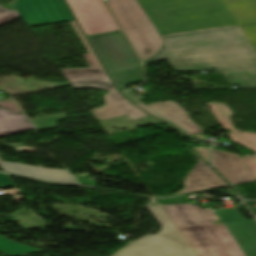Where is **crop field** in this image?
<instances>
[{
  "label": "crop field",
  "mask_w": 256,
  "mask_h": 256,
  "mask_svg": "<svg viewBox=\"0 0 256 256\" xmlns=\"http://www.w3.org/2000/svg\"><path fill=\"white\" fill-rule=\"evenodd\" d=\"M138 107L142 108L143 110L147 111L148 113L160 118V119H163L162 117L158 116L157 114H155L154 112L150 111L149 109H147L146 107L142 106V105H139ZM165 120V119H163ZM166 121V120H165ZM168 122V121H167Z\"/></svg>",
  "instance_id": "00972430"
},
{
  "label": "crop field",
  "mask_w": 256,
  "mask_h": 256,
  "mask_svg": "<svg viewBox=\"0 0 256 256\" xmlns=\"http://www.w3.org/2000/svg\"><path fill=\"white\" fill-rule=\"evenodd\" d=\"M198 256H256V223L235 207L162 206ZM232 212V213H230ZM221 220V224L213 221Z\"/></svg>",
  "instance_id": "ac0d7876"
},
{
  "label": "crop field",
  "mask_w": 256,
  "mask_h": 256,
  "mask_svg": "<svg viewBox=\"0 0 256 256\" xmlns=\"http://www.w3.org/2000/svg\"><path fill=\"white\" fill-rule=\"evenodd\" d=\"M15 8L28 27L74 20L63 0H16Z\"/></svg>",
  "instance_id": "3316defc"
},
{
  "label": "crop field",
  "mask_w": 256,
  "mask_h": 256,
  "mask_svg": "<svg viewBox=\"0 0 256 256\" xmlns=\"http://www.w3.org/2000/svg\"><path fill=\"white\" fill-rule=\"evenodd\" d=\"M71 24L89 53L84 55V57L91 68L60 69V71L74 89H99L109 92L103 97L106 100L105 106L100 109L92 110L91 112L93 114H95L102 121L122 115H127L130 120L147 116L159 123L177 130L181 137H185L183 132L178 130L176 127L148 115L123 97L116 90L111 79L109 78L81 29L77 25L76 21L71 22Z\"/></svg>",
  "instance_id": "412701ff"
},
{
  "label": "crop field",
  "mask_w": 256,
  "mask_h": 256,
  "mask_svg": "<svg viewBox=\"0 0 256 256\" xmlns=\"http://www.w3.org/2000/svg\"><path fill=\"white\" fill-rule=\"evenodd\" d=\"M106 3L142 62L161 51L164 40L138 0H106Z\"/></svg>",
  "instance_id": "f4fd0767"
},
{
  "label": "crop field",
  "mask_w": 256,
  "mask_h": 256,
  "mask_svg": "<svg viewBox=\"0 0 256 256\" xmlns=\"http://www.w3.org/2000/svg\"><path fill=\"white\" fill-rule=\"evenodd\" d=\"M191 152L198 162L187 175L184 187L173 195L228 186L193 150Z\"/></svg>",
  "instance_id": "d1516ede"
},
{
  "label": "crop field",
  "mask_w": 256,
  "mask_h": 256,
  "mask_svg": "<svg viewBox=\"0 0 256 256\" xmlns=\"http://www.w3.org/2000/svg\"><path fill=\"white\" fill-rule=\"evenodd\" d=\"M161 34L237 25L221 0H139Z\"/></svg>",
  "instance_id": "34b2d1b8"
},
{
  "label": "crop field",
  "mask_w": 256,
  "mask_h": 256,
  "mask_svg": "<svg viewBox=\"0 0 256 256\" xmlns=\"http://www.w3.org/2000/svg\"><path fill=\"white\" fill-rule=\"evenodd\" d=\"M0 252L6 253L11 256H23L42 251L0 237Z\"/></svg>",
  "instance_id": "d9b57169"
},
{
  "label": "crop field",
  "mask_w": 256,
  "mask_h": 256,
  "mask_svg": "<svg viewBox=\"0 0 256 256\" xmlns=\"http://www.w3.org/2000/svg\"><path fill=\"white\" fill-rule=\"evenodd\" d=\"M238 25L256 22V0H222Z\"/></svg>",
  "instance_id": "cbeb9de0"
},
{
  "label": "crop field",
  "mask_w": 256,
  "mask_h": 256,
  "mask_svg": "<svg viewBox=\"0 0 256 256\" xmlns=\"http://www.w3.org/2000/svg\"><path fill=\"white\" fill-rule=\"evenodd\" d=\"M74 176L79 181L80 184L96 186L95 182L88 179L90 176L88 173L76 174Z\"/></svg>",
  "instance_id": "bc2a9ffb"
},
{
  "label": "crop field",
  "mask_w": 256,
  "mask_h": 256,
  "mask_svg": "<svg viewBox=\"0 0 256 256\" xmlns=\"http://www.w3.org/2000/svg\"><path fill=\"white\" fill-rule=\"evenodd\" d=\"M17 17H19V14L16 10L10 11L0 7V24ZM32 129H34V127L24 114L0 108V137ZM0 164L7 172L39 180L47 182L76 183L67 170L27 166L20 163L3 162L1 159Z\"/></svg>",
  "instance_id": "e52e79f7"
},
{
  "label": "crop field",
  "mask_w": 256,
  "mask_h": 256,
  "mask_svg": "<svg viewBox=\"0 0 256 256\" xmlns=\"http://www.w3.org/2000/svg\"><path fill=\"white\" fill-rule=\"evenodd\" d=\"M67 118L65 114H57V115H51V116H45L37 119H31L35 126L38 128V130L42 129H48V128H55L56 123L60 119Z\"/></svg>",
  "instance_id": "733c2abd"
},
{
  "label": "crop field",
  "mask_w": 256,
  "mask_h": 256,
  "mask_svg": "<svg viewBox=\"0 0 256 256\" xmlns=\"http://www.w3.org/2000/svg\"><path fill=\"white\" fill-rule=\"evenodd\" d=\"M149 210L162 226L157 235H147L114 256H196L159 206Z\"/></svg>",
  "instance_id": "d8731c3e"
},
{
  "label": "crop field",
  "mask_w": 256,
  "mask_h": 256,
  "mask_svg": "<svg viewBox=\"0 0 256 256\" xmlns=\"http://www.w3.org/2000/svg\"><path fill=\"white\" fill-rule=\"evenodd\" d=\"M179 202H189V200L185 196L161 200L162 204Z\"/></svg>",
  "instance_id": "92a150f3"
},
{
  "label": "crop field",
  "mask_w": 256,
  "mask_h": 256,
  "mask_svg": "<svg viewBox=\"0 0 256 256\" xmlns=\"http://www.w3.org/2000/svg\"><path fill=\"white\" fill-rule=\"evenodd\" d=\"M86 36L118 30L102 0H65ZM76 20V21H77Z\"/></svg>",
  "instance_id": "5a996713"
},
{
  "label": "crop field",
  "mask_w": 256,
  "mask_h": 256,
  "mask_svg": "<svg viewBox=\"0 0 256 256\" xmlns=\"http://www.w3.org/2000/svg\"><path fill=\"white\" fill-rule=\"evenodd\" d=\"M151 63L167 59L175 71L224 72L231 85L256 88V54L239 26L164 36Z\"/></svg>",
  "instance_id": "8a807250"
},
{
  "label": "crop field",
  "mask_w": 256,
  "mask_h": 256,
  "mask_svg": "<svg viewBox=\"0 0 256 256\" xmlns=\"http://www.w3.org/2000/svg\"><path fill=\"white\" fill-rule=\"evenodd\" d=\"M200 156L209 164V157H210V149L203 148V147H193Z\"/></svg>",
  "instance_id": "214f88e0"
},
{
  "label": "crop field",
  "mask_w": 256,
  "mask_h": 256,
  "mask_svg": "<svg viewBox=\"0 0 256 256\" xmlns=\"http://www.w3.org/2000/svg\"><path fill=\"white\" fill-rule=\"evenodd\" d=\"M182 118H184L187 122H189L192 126H194L196 129L189 131V135L192 134H198V133H202V130L196 125L194 124L188 117L187 113H185L184 115L181 116Z\"/></svg>",
  "instance_id": "dafd665d"
},
{
  "label": "crop field",
  "mask_w": 256,
  "mask_h": 256,
  "mask_svg": "<svg viewBox=\"0 0 256 256\" xmlns=\"http://www.w3.org/2000/svg\"><path fill=\"white\" fill-rule=\"evenodd\" d=\"M173 102L166 101V102L152 103L148 106L154 109L155 111L159 112L160 114H162L163 116H165L166 118L174 122L175 124L179 125L185 131L194 129V127H192L189 123H187L184 119L180 117L186 111L182 107L178 106Z\"/></svg>",
  "instance_id": "5142ce71"
},
{
  "label": "crop field",
  "mask_w": 256,
  "mask_h": 256,
  "mask_svg": "<svg viewBox=\"0 0 256 256\" xmlns=\"http://www.w3.org/2000/svg\"><path fill=\"white\" fill-rule=\"evenodd\" d=\"M208 104L215 113L220 123L222 124L223 128L232 130L229 135L233 141L256 151V134H253L251 132L243 133L235 130L230 120V116H232L233 113L228 105L217 102H211ZM243 159L256 176V157H243Z\"/></svg>",
  "instance_id": "22f410ed"
},
{
  "label": "crop field",
  "mask_w": 256,
  "mask_h": 256,
  "mask_svg": "<svg viewBox=\"0 0 256 256\" xmlns=\"http://www.w3.org/2000/svg\"><path fill=\"white\" fill-rule=\"evenodd\" d=\"M240 28L256 52V24L243 25Z\"/></svg>",
  "instance_id": "4a817a6b"
},
{
  "label": "crop field",
  "mask_w": 256,
  "mask_h": 256,
  "mask_svg": "<svg viewBox=\"0 0 256 256\" xmlns=\"http://www.w3.org/2000/svg\"><path fill=\"white\" fill-rule=\"evenodd\" d=\"M213 165L232 185L256 181L240 155L213 149Z\"/></svg>",
  "instance_id": "28ad6ade"
},
{
  "label": "crop field",
  "mask_w": 256,
  "mask_h": 256,
  "mask_svg": "<svg viewBox=\"0 0 256 256\" xmlns=\"http://www.w3.org/2000/svg\"><path fill=\"white\" fill-rule=\"evenodd\" d=\"M117 88L143 81L140 61L121 30L88 37Z\"/></svg>",
  "instance_id": "dd49c442"
}]
</instances>
